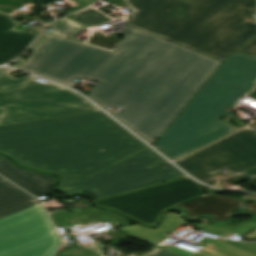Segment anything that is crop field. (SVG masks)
Segmentation results:
<instances>
[{
	"label": "crop field",
	"mask_w": 256,
	"mask_h": 256,
	"mask_svg": "<svg viewBox=\"0 0 256 256\" xmlns=\"http://www.w3.org/2000/svg\"><path fill=\"white\" fill-rule=\"evenodd\" d=\"M11 72L0 68V125L98 110L69 89Z\"/></svg>",
	"instance_id": "6"
},
{
	"label": "crop field",
	"mask_w": 256,
	"mask_h": 256,
	"mask_svg": "<svg viewBox=\"0 0 256 256\" xmlns=\"http://www.w3.org/2000/svg\"><path fill=\"white\" fill-rule=\"evenodd\" d=\"M248 96L256 99V88ZM176 164L205 183L215 181L210 175L223 169L246 180L252 179L256 177V129L246 127Z\"/></svg>",
	"instance_id": "8"
},
{
	"label": "crop field",
	"mask_w": 256,
	"mask_h": 256,
	"mask_svg": "<svg viewBox=\"0 0 256 256\" xmlns=\"http://www.w3.org/2000/svg\"><path fill=\"white\" fill-rule=\"evenodd\" d=\"M90 37L84 41V43L91 44V45H100L108 48H114L115 44L119 42L118 38L107 35H102L99 31H92Z\"/></svg>",
	"instance_id": "18"
},
{
	"label": "crop field",
	"mask_w": 256,
	"mask_h": 256,
	"mask_svg": "<svg viewBox=\"0 0 256 256\" xmlns=\"http://www.w3.org/2000/svg\"><path fill=\"white\" fill-rule=\"evenodd\" d=\"M256 226V223H241L237 226H231V225H223L218 224L217 226H211V225H200L198 229H201L202 231L210 232L215 235L223 236L227 234H231L233 232L243 234V231H247L253 227Z\"/></svg>",
	"instance_id": "16"
},
{
	"label": "crop field",
	"mask_w": 256,
	"mask_h": 256,
	"mask_svg": "<svg viewBox=\"0 0 256 256\" xmlns=\"http://www.w3.org/2000/svg\"><path fill=\"white\" fill-rule=\"evenodd\" d=\"M255 241H256V238H255Z\"/></svg>",
	"instance_id": "27"
},
{
	"label": "crop field",
	"mask_w": 256,
	"mask_h": 256,
	"mask_svg": "<svg viewBox=\"0 0 256 256\" xmlns=\"http://www.w3.org/2000/svg\"><path fill=\"white\" fill-rule=\"evenodd\" d=\"M0 174L37 197L46 195L55 182L52 176L18 168L2 156H0Z\"/></svg>",
	"instance_id": "13"
},
{
	"label": "crop field",
	"mask_w": 256,
	"mask_h": 256,
	"mask_svg": "<svg viewBox=\"0 0 256 256\" xmlns=\"http://www.w3.org/2000/svg\"><path fill=\"white\" fill-rule=\"evenodd\" d=\"M116 52L49 35L20 69L74 87L152 144L221 62L126 26ZM158 139V138H157Z\"/></svg>",
	"instance_id": "1"
},
{
	"label": "crop field",
	"mask_w": 256,
	"mask_h": 256,
	"mask_svg": "<svg viewBox=\"0 0 256 256\" xmlns=\"http://www.w3.org/2000/svg\"><path fill=\"white\" fill-rule=\"evenodd\" d=\"M128 26L225 61L256 35V0H123Z\"/></svg>",
	"instance_id": "3"
},
{
	"label": "crop field",
	"mask_w": 256,
	"mask_h": 256,
	"mask_svg": "<svg viewBox=\"0 0 256 256\" xmlns=\"http://www.w3.org/2000/svg\"><path fill=\"white\" fill-rule=\"evenodd\" d=\"M196 245L204 247L197 254L169 245L166 247L177 252H170L177 256H256V243L228 241L222 238L218 240L203 238Z\"/></svg>",
	"instance_id": "12"
},
{
	"label": "crop field",
	"mask_w": 256,
	"mask_h": 256,
	"mask_svg": "<svg viewBox=\"0 0 256 256\" xmlns=\"http://www.w3.org/2000/svg\"><path fill=\"white\" fill-rule=\"evenodd\" d=\"M73 21V20H72ZM71 20L64 18L53 24H51L52 31L50 34L61 36L70 39L84 27L72 22Z\"/></svg>",
	"instance_id": "17"
},
{
	"label": "crop field",
	"mask_w": 256,
	"mask_h": 256,
	"mask_svg": "<svg viewBox=\"0 0 256 256\" xmlns=\"http://www.w3.org/2000/svg\"><path fill=\"white\" fill-rule=\"evenodd\" d=\"M253 236H256V230H255V231H253V233H252V234H250L248 237H253Z\"/></svg>",
	"instance_id": "24"
},
{
	"label": "crop field",
	"mask_w": 256,
	"mask_h": 256,
	"mask_svg": "<svg viewBox=\"0 0 256 256\" xmlns=\"http://www.w3.org/2000/svg\"><path fill=\"white\" fill-rule=\"evenodd\" d=\"M144 147L101 111L0 126V151L60 176H88Z\"/></svg>",
	"instance_id": "2"
},
{
	"label": "crop field",
	"mask_w": 256,
	"mask_h": 256,
	"mask_svg": "<svg viewBox=\"0 0 256 256\" xmlns=\"http://www.w3.org/2000/svg\"><path fill=\"white\" fill-rule=\"evenodd\" d=\"M184 176L149 147L88 177L62 178L57 191H86L101 198Z\"/></svg>",
	"instance_id": "7"
},
{
	"label": "crop field",
	"mask_w": 256,
	"mask_h": 256,
	"mask_svg": "<svg viewBox=\"0 0 256 256\" xmlns=\"http://www.w3.org/2000/svg\"><path fill=\"white\" fill-rule=\"evenodd\" d=\"M203 194L188 177L96 201L148 225L154 224L166 207Z\"/></svg>",
	"instance_id": "9"
},
{
	"label": "crop field",
	"mask_w": 256,
	"mask_h": 256,
	"mask_svg": "<svg viewBox=\"0 0 256 256\" xmlns=\"http://www.w3.org/2000/svg\"><path fill=\"white\" fill-rule=\"evenodd\" d=\"M185 222L180 216L175 214H167L164 224L159 229L147 230L139 225L129 226L125 228H119L118 230L131 235L137 239L150 244H157L167 236L165 234H172L176 228L183 226Z\"/></svg>",
	"instance_id": "14"
},
{
	"label": "crop field",
	"mask_w": 256,
	"mask_h": 256,
	"mask_svg": "<svg viewBox=\"0 0 256 256\" xmlns=\"http://www.w3.org/2000/svg\"><path fill=\"white\" fill-rule=\"evenodd\" d=\"M256 58L234 53L215 71L153 145L171 160L235 130L218 117L253 88Z\"/></svg>",
	"instance_id": "4"
},
{
	"label": "crop field",
	"mask_w": 256,
	"mask_h": 256,
	"mask_svg": "<svg viewBox=\"0 0 256 256\" xmlns=\"http://www.w3.org/2000/svg\"><path fill=\"white\" fill-rule=\"evenodd\" d=\"M60 245L41 204L0 177V256H51Z\"/></svg>",
	"instance_id": "5"
},
{
	"label": "crop field",
	"mask_w": 256,
	"mask_h": 256,
	"mask_svg": "<svg viewBox=\"0 0 256 256\" xmlns=\"http://www.w3.org/2000/svg\"><path fill=\"white\" fill-rule=\"evenodd\" d=\"M236 52L256 57V36L253 37Z\"/></svg>",
	"instance_id": "20"
},
{
	"label": "crop field",
	"mask_w": 256,
	"mask_h": 256,
	"mask_svg": "<svg viewBox=\"0 0 256 256\" xmlns=\"http://www.w3.org/2000/svg\"><path fill=\"white\" fill-rule=\"evenodd\" d=\"M173 206L184 209L190 219L205 214L214 221H227L242 206H245L249 213L256 214V204H243L237 198L218 196L215 193L203 194Z\"/></svg>",
	"instance_id": "10"
},
{
	"label": "crop field",
	"mask_w": 256,
	"mask_h": 256,
	"mask_svg": "<svg viewBox=\"0 0 256 256\" xmlns=\"http://www.w3.org/2000/svg\"><path fill=\"white\" fill-rule=\"evenodd\" d=\"M105 1L109 3V2L114 1V0H105Z\"/></svg>",
	"instance_id": "26"
},
{
	"label": "crop field",
	"mask_w": 256,
	"mask_h": 256,
	"mask_svg": "<svg viewBox=\"0 0 256 256\" xmlns=\"http://www.w3.org/2000/svg\"><path fill=\"white\" fill-rule=\"evenodd\" d=\"M21 23L0 13V64L18 57L39 33L28 29L21 32L13 29Z\"/></svg>",
	"instance_id": "11"
},
{
	"label": "crop field",
	"mask_w": 256,
	"mask_h": 256,
	"mask_svg": "<svg viewBox=\"0 0 256 256\" xmlns=\"http://www.w3.org/2000/svg\"><path fill=\"white\" fill-rule=\"evenodd\" d=\"M91 249H93L95 252L102 254V252L105 250V246H103L101 243H96V244H92V245H88ZM144 256H175L173 254H170L168 252H165L157 247H155L154 251L144 255Z\"/></svg>",
	"instance_id": "19"
},
{
	"label": "crop field",
	"mask_w": 256,
	"mask_h": 256,
	"mask_svg": "<svg viewBox=\"0 0 256 256\" xmlns=\"http://www.w3.org/2000/svg\"><path fill=\"white\" fill-rule=\"evenodd\" d=\"M247 184H249V185H251V186L256 187V178H254V179H252V180L247 181Z\"/></svg>",
	"instance_id": "23"
},
{
	"label": "crop field",
	"mask_w": 256,
	"mask_h": 256,
	"mask_svg": "<svg viewBox=\"0 0 256 256\" xmlns=\"http://www.w3.org/2000/svg\"><path fill=\"white\" fill-rule=\"evenodd\" d=\"M74 1H76L79 4V6L75 7L73 10L69 11L70 13H72V12H74V11H76V10L96 1V0H74Z\"/></svg>",
	"instance_id": "22"
},
{
	"label": "crop field",
	"mask_w": 256,
	"mask_h": 256,
	"mask_svg": "<svg viewBox=\"0 0 256 256\" xmlns=\"http://www.w3.org/2000/svg\"><path fill=\"white\" fill-rule=\"evenodd\" d=\"M74 16L75 17H73L72 20L84 27L101 25L111 20V18L103 15L91 7L78 14H75Z\"/></svg>",
	"instance_id": "15"
},
{
	"label": "crop field",
	"mask_w": 256,
	"mask_h": 256,
	"mask_svg": "<svg viewBox=\"0 0 256 256\" xmlns=\"http://www.w3.org/2000/svg\"><path fill=\"white\" fill-rule=\"evenodd\" d=\"M49 34L42 32V34L39 36V38L35 41V43L30 47L29 50L31 51H35L38 46L45 40V38L48 36Z\"/></svg>",
	"instance_id": "21"
},
{
	"label": "crop field",
	"mask_w": 256,
	"mask_h": 256,
	"mask_svg": "<svg viewBox=\"0 0 256 256\" xmlns=\"http://www.w3.org/2000/svg\"><path fill=\"white\" fill-rule=\"evenodd\" d=\"M42 28H43V27H41V26L37 25V27H36V29H35V30L40 31Z\"/></svg>",
	"instance_id": "25"
}]
</instances>
